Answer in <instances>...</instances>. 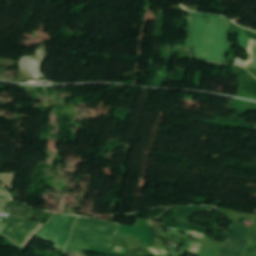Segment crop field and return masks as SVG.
Segmentation results:
<instances>
[{"label": "crop field", "instance_id": "8a807250", "mask_svg": "<svg viewBox=\"0 0 256 256\" xmlns=\"http://www.w3.org/2000/svg\"><path fill=\"white\" fill-rule=\"evenodd\" d=\"M229 20L189 11L186 48L196 46L199 60L224 63L228 48Z\"/></svg>", "mask_w": 256, "mask_h": 256}, {"label": "crop field", "instance_id": "ac0d7876", "mask_svg": "<svg viewBox=\"0 0 256 256\" xmlns=\"http://www.w3.org/2000/svg\"><path fill=\"white\" fill-rule=\"evenodd\" d=\"M120 224L104 221V220H96V219H88L81 217L74 224L73 230L88 232L99 234L108 237H115V233L118 232L120 228ZM73 231L70 242L107 248L109 249L113 239L108 237H103L97 235L96 239L85 238V233Z\"/></svg>", "mask_w": 256, "mask_h": 256}, {"label": "crop field", "instance_id": "34b2d1b8", "mask_svg": "<svg viewBox=\"0 0 256 256\" xmlns=\"http://www.w3.org/2000/svg\"><path fill=\"white\" fill-rule=\"evenodd\" d=\"M77 218L76 216L57 217L51 215L50 220L37 235L55 242V248L64 250L70 237L71 227Z\"/></svg>", "mask_w": 256, "mask_h": 256}, {"label": "crop field", "instance_id": "412701ff", "mask_svg": "<svg viewBox=\"0 0 256 256\" xmlns=\"http://www.w3.org/2000/svg\"><path fill=\"white\" fill-rule=\"evenodd\" d=\"M38 225V223L26 219L13 217L6 228L3 230L2 234L11 239L14 245L21 247Z\"/></svg>", "mask_w": 256, "mask_h": 256}, {"label": "crop field", "instance_id": "f4fd0767", "mask_svg": "<svg viewBox=\"0 0 256 256\" xmlns=\"http://www.w3.org/2000/svg\"><path fill=\"white\" fill-rule=\"evenodd\" d=\"M212 209L213 207H207V206L179 207L176 220L164 222L165 227H172V228L184 227V229L207 232L209 228L193 225L190 223V219L197 212H212Z\"/></svg>", "mask_w": 256, "mask_h": 256}, {"label": "crop field", "instance_id": "dd49c442", "mask_svg": "<svg viewBox=\"0 0 256 256\" xmlns=\"http://www.w3.org/2000/svg\"><path fill=\"white\" fill-rule=\"evenodd\" d=\"M249 244L250 241L229 237L219 253L230 256H241Z\"/></svg>", "mask_w": 256, "mask_h": 256}, {"label": "crop field", "instance_id": "e52e79f7", "mask_svg": "<svg viewBox=\"0 0 256 256\" xmlns=\"http://www.w3.org/2000/svg\"><path fill=\"white\" fill-rule=\"evenodd\" d=\"M120 234L131 235L139 237L140 241L154 244V235L152 228L146 227H131L122 225Z\"/></svg>", "mask_w": 256, "mask_h": 256}, {"label": "crop field", "instance_id": "d8731c3e", "mask_svg": "<svg viewBox=\"0 0 256 256\" xmlns=\"http://www.w3.org/2000/svg\"><path fill=\"white\" fill-rule=\"evenodd\" d=\"M3 210L16 217H26L33 211L32 209L13 201H10Z\"/></svg>", "mask_w": 256, "mask_h": 256}, {"label": "crop field", "instance_id": "5a996713", "mask_svg": "<svg viewBox=\"0 0 256 256\" xmlns=\"http://www.w3.org/2000/svg\"><path fill=\"white\" fill-rule=\"evenodd\" d=\"M247 51L251 55V57L249 61H246L244 63L243 66L256 68V41L255 40L250 38Z\"/></svg>", "mask_w": 256, "mask_h": 256}, {"label": "crop field", "instance_id": "3316defc", "mask_svg": "<svg viewBox=\"0 0 256 256\" xmlns=\"http://www.w3.org/2000/svg\"><path fill=\"white\" fill-rule=\"evenodd\" d=\"M231 230L235 232L234 235H233L234 237H238V238L243 239L248 229L234 224L232 226Z\"/></svg>", "mask_w": 256, "mask_h": 256}, {"label": "crop field", "instance_id": "28ad6ade", "mask_svg": "<svg viewBox=\"0 0 256 256\" xmlns=\"http://www.w3.org/2000/svg\"><path fill=\"white\" fill-rule=\"evenodd\" d=\"M46 213L44 212H38V211H34L31 215L32 216H36V217H40L43 218L45 216Z\"/></svg>", "mask_w": 256, "mask_h": 256}, {"label": "crop field", "instance_id": "d1516ede", "mask_svg": "<svg viewBox=\"0 0 256 256\" xmlns=\"http://www.w3.org/2000/svg\"><path fill=\"white\" fill-rule=\"evenodd\" d=\"M256 229V228H255Z\"/></svg>", "mask_w": 256, "mask_h": 256}, {"label": "crop field", "instance_id": "22f410ed", "mask_svg": "<svg viewBox=\"0 0 256 256\" xmlns=\"http://www.w3.org/2000/svg\"><path fill=\"white\" fill-rule=\"evenodd\" d=\"M256 241V240H255Z\"/></svg>", "mask_w": 256, "mask_h": 256}]
</instances>
